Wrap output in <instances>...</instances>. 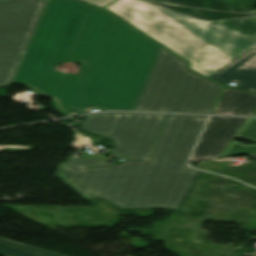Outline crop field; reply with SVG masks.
<instances>
[{"label": "crop field", "instance_id": "1", "mask_svg": "<svg viewBox=\"0 0 256 256\" xmlns=\"http://www.w3.org/2000/svg\"><path fill=\"white\" fill-rule=\"evenodd\" d=\"M166 116L99 113L88 115L82 129L111 138L113 157L146 159ZM206 118L169 115L149 161L82 169L104 163L72 157L67 165L61 163L57 175L85 199L105 198L119 208L177 209L199 171L174 163H186Z\"/></svg>", "mask_w": 256, "mask_h": 256}, {"label": "crop field", "instance_id": "2", "mask_svg": "<svg viewBox=\"0 0 256 256\" xmlns=\"http://www.w3.org/2000/svg\"><path fill=\"white\" fill-rule=\"evenodd\" d=\"M160 48L119 18L91 11L68 60L84 63L77 76L64 74L56 111L133 110Z\"/></svg>", "mask_w": 256, "mask_h": 256}, {"label": "crop field", "instance_id": "3", "mask_svg": "<svg viewBox=\"0 0 256 256\" xmlns=\"http://www.w3.org/2000/svg\"><path fill=\"white\" fill-rule=\"evenodd\" d=\"M104 8L188 61L205 22L256 16L223 0H114Z\"/></svg>", "mask_w": 256, "mask_h": 256}, {"label": "crop field", "instance_id": "4", "mask_svg": "<svg viewBox=\"0 0 256 256\" xmlns=\"http://www.w3.org/2000/svg\"><path fill=\"white\" fill-rule=\"evenodd\" d=\"M90 10L114 16L74 0H50L12 83L51 99L63 76L55 66L68 60Z\"/></svg>", "mask_w": 256, "mask_h": 256}, {"label": "crop field", "instance_id": "5", "mask_svg": "<svg viewBox=\"0 0 256 256\" xmlns=\"http://www.w3.org/2000/svg\"><path fill=\"white\" fill-rule=\"evenodd\" d=\"M222 89L161 48L134 111L211 114Z\"/></svg>", "mask_w": 256, "mask_h": 256}, {"label": "crop field", "instance_id": "6", "mask_svg": "<svg viewBox=\"0 0 256 256\" xmlns=\"http://www.w3.org/2000/svg\"><path fill=\"white\" fill-rule=\"evenodd\" d=\"M256 46V17L206 23L191 68L210 76Z\"/></svg>", "mask_w": 256, "mask_h": 256}, {"label": "crop field", "instance_id": "7", "mask_svg": "<svg viewBox=\"0 0 256 256\" xmlns=\"http://www.w3.org/2000/svg\"><path fill=\"white\" fill-rule=\"evenodd\" d=\"M47 1L0 2V87L11 84Z\"/></svg>", "mask_w": 256, "mask_h": 256}, {"label": "crop field", "instance_id": "8", "mask_svg": "<svg viewBox=\"0 0 256 256\" xmlns=\"http://www.w3.org/2000/svg\"><path fill=\"white\" fill-rule=\"evenodd\" d=\"M248 118L212 117L190 160L217 158Z\"/></svg>", "mask_w": 256, "mask_h": 256}, {"label": "crop field", "instance_id": "9", "mask_svg": "<svg viewBox=\"0 0 256 256\" xmlns=\"http://www.w3.org/2000/svg\"><path fill=\"white\" fill-rule=\"evenodd\" d=\"M211 78L227 84L234 82L242 88L256 92V50H252Z\"/></svg>", "mask_w": 256, "mask_h": 256}, {"label": "crop field", "instance_id": "10", "mask_svg": "<svg viewBox=\"0 0 256 256\" xmlns=\"http://www.w3.org/2000/svg\"><path fill=\"white\" fill-rule=\"evenodd\" d=\"M256 110V95L225 88L213 114L251 115Z\"/></svg>", "mask_w": 256, "mask_h": 256}, {"label": "crop field", "instance_id": "11", "mask_svg": "<svg viewBox=\"0 0 256 256\" xmlns=\"http://www.w3.org/2000/svg\"><path fill=\"white\" fill-rule=\"evenodd\" d=\"M235 137L256 142V118H249ZM250 154H256V145L245 146L233 140L220 158Z\"/></svg>", "mask_w": 256, "mask_h": 256}, {"label": "crop field", "instance_id": "12", "mask_svg": "<svg viewBox=\"0 0 256 256\" xmlns=\"http://www.w3.org/2000/svg\"><path fill=\"white\" fill-rule=\"evenodd\" d=\"M1 256H61L39 248L13 242L0 237Z\"/></svg>", "mask_w": 256, "mask_h": 256}, {"label": "crop field", "instance_id": "13", "mask_svg": "<svg viewBox=\"0 0 256 256\" xmlns=\"http://www.w3.org/2000/svg\"><path fill=\"white\" fill-rule=\"evenodd\" d=\"M83 1H86V2L92 3L94 5L103 7V6H105L106 4L110 3L113 0H83Z\"/></svg>", "mask_w": 256, "mask_h": 256}, {"label": "crop field", "instance_id": "14", "mask_svg": "<svg viewBox=\"0 0 256 256\" xmlns=\"http://www.w3.org/2000/svg\"><path fill=\"white\" fill-rule=\"evenodd\" d=\"M1 151H27L26 149H4Z\"/></svg>", "mask_w": 256, "mask_h": 256}, {"label": "crop field", "instance_id": "15", "mask_svg": "<svg viewBox=\"0 0 256 256\" xmlns=\"http://www.w3.org/2000/svg\"><path fill=\"white\" fill-rule=\"evenodd\" d=\"M5 147H14V148H30V147H17V146H0V149Z\"/></svg>", "mask_w": 256, "mask_h": 256}, {"label": "crop field", "instance_id": "16", "mask_svg": "<svg viewBox=\"0 0 256 256\" xmlns=\"http://www.w3.org/2000/svg\"><path fill=\"white\" fill-rule=\"evenodd\" d=\"M176 164L181 165V166H186V164L183 161H177Z\"/></svg>", "mask_w": 256, "mask_h": 256}, {"label": "crop field", "instance_id": "17", "mask_svg": "<svg viewBox=\"0 0 256 256\" xmlns=\"http://www.w3.org/2000/svg\"><path fill=\"white\" fill-rule=\"evenodd\" d=\"M251 157L255 160V165H256V155H251Z\"/></svg>", "mask_w": 256, "mask_h": 256}, {"label": "crop field", "instance_id": "18", "mask_svg": "<svg viewBox=\"0 0 256 256\" xmlns=\"http://www.w3.org/2000/svg\"><path fill=\"white\" fill-rule=\"evenodd\" d=\"M86 190H89V191H96V190L93 189V188H87Z\"/></svg>", "mask_w": 256, "mask_h": 256}, {"label": "crop field", "instance_id": "19", "mask_svg": "<svg viewBox=\"0 0 256 256\" xmlns=\"http://www.w3.org/2000/svg\"><path fill=\"white\" fill-rule=\"evenodd\" d=\"M252 115L256 116V111Z\"/></svg>", "mask_w": 256, "mask_h": 256}, {"label": "crop field", "instance_id": "20", "mask_svg": "<svg viewBox=\"0 0 256 256\" xmlns=\"http://www.w3.org/2000/svg\"><path fill=\"white\" fill-rule=\"evenodd\" d=\"M0 1H3V0H0Z\"/></svg>", "mask_w": 256, "mask_h": 256}, {"label": "crop field", "instance_id": "21", "mask_svg": "<svg viewBox=\"0 0 256 256\" xmlns=\"http://www.w3.org/2000/svg\"><path fill=\"white\" fill-rule=\"evenodd\" d=\"M256 49V48H255Z\"/></svg>", "mask_w": 256, "mask_h": 256}]
</instances>
